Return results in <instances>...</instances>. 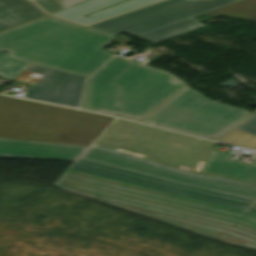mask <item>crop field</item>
<instances>
[{"mask_svg":"<svg viewBox=\"0 0 256 256\" xmlns=\"http://www.w3.org/2000/svg\"><path fill=\"white\" fill-rule=\"evenodd\" d=\"M54 186L212 238L244 212L83 172H64Z\"/></svg>","mask_w":256,"mask_h":256,"instance_id":"8a807250","label":"crop field"},{"mask_svg":"<svg viewBox=\"0 0 256 256\" xmlns=\"http://www.w3.org/2000/svg\"><path fill=\"white\" fill-rule=\"evenodd\" d=\"M115 37L46 16L0 33V51L13 59L88 77L113 54Z\"/></svg>","mask_w":256,"mask_h":256,"instance_id":"ac0d7876","label":"crop field"},{"mask_svg":"<svg viewBox=\"0 0 256 256\" xmlns=\"http://www.w3.org/2000/svg\"><path fill=\"white\" fill-rule=\"evenodd\" d=\"M185 86L168 73L114 57L89 79L81 108L138 121Z\"/></svg>","mask_w":256,"mask_h":256,"instance_id":"34b2d1b8","label":"crop field"},{"mask_svg":"<svg viewBox=\"0 0 256 256\" xmlns=\"http://www.w3.org/2000/svg\"><path fill=\"white\" fill-rule=\"evenodd\" d=\"M113 119L0 95V137L90 145Z\"/></svg>","mask_w":256,"mask_h":256,"instance_id":"412701ff","label":"crop field"},{"mask_svg":"<svg viewBox=\"0 0 256 256\" xmlns=\"http://www.w3.org/2000/svg\"><path fill=\"white\" fill-rule=\"evenodd\" d=\"M92 146L109 147L199 172L216 143L116 119Z\"/></svg>","mask_w":256,"mask_h":256,"instance_id":"f4fd0767","label":"crop field"},{"mask_svg":"<svg viewBox=\"0 0 256 256\" xmlns=\"http://www.w3.org/2000/svg\"><path fill=\"white\" fill-rule=\"evenodd\" d=\"M238 2L237 0H166L128 12L87 28L122 32L152 42L202 27L191 17Z\"/></svg>","mask_w":256,"mask_h":256,"instance_id":"dd49c442","label":"crop field"},{"mask_svg":"<svg viewBox=\"0 0 256 256\" xmlns=\"http://www.w3.org/2000/svg\"><path fill=\"white\" fill-rule=\"evenodd\" d=\"M251 115L208 99L188 87L142 120L215 140Z\"/></svg>","mask_w":256,"mask_h":256,"instance_id":"e52e79f7","label":"crop field"},{"mask_svg":"<svg viewBox=\"0 0 256 256\" xmlns=\"http://www.w3.org/2000/svg\"><path fill=\"white\" fill-rule=\"evenodd\" d=\"M66 171L76 174H79L81 171H83L183 197L194 198L240 210H246L250 208L254 203H256V200L216 190L176 183L160 179L157 177L145 175L142 173L117 168L81 158H78L77 161Z\"/></svg>","mask_w":256,"mask_h":256,"instance_id":"d8731c3e","label":"crop field"},{"mask_svg":"<svg viewBox=\"0 0 256 256\" xmlns=\"http://www.w3.org/2000/svg\"><path fill=\"white\" fill-rule=\"evenodd\" d=\"M81 158L142 172L172 181L216 189L256 199V186L254 185L230 179L188 173L109 149L89 147Z\"/></svg>","mask_w":256,"mask_h":256,"instance_id":"5a996713","label":"crop field"},{"mask_svg":"<svg viewBox=\"0 0 256 256\" xmlns=\"http://www.w3.org/2000/svg\"><path fill=\"white\" fill-rule=\"evenodd\" d=\"M24 70L46 75L25 98L77 108L86 78L29 64Z\"/></svg>","mask_w":256,"mask_h":256,"instance_id":"3316defc","label":"crop field"},{"mask_svg":"<svg viewBox=\"0 0 256 256\" xmlns=\"http://www.w3.org/2000/svg\"><path fill=\"white\" fill-rule=\"evenodd\" d=\"M86 147L0 139V157L74 161Z\"/></svg>","mask_w":256,"mask_h":256,"instance_id":"28ad6ade","label":"crop field"},{"mask_svg":"<svg viewBox=\"0 0 256 256\" xmlns=\"http://www.w3.org/2000/svg\"><path fill=\"white\" fill-rule=\"evenodd\" d=\"M89 0L87 2L64 9L52 15L66 18L84 25L159 1V0ZM124 2V3H121ZM121 3L119 5H116ZM116 5V6H113ZM113 6V7H110ZM110 7V8H107ZM107 8L105 10H102ZM102 10V11H99ZM99 11V12H96ZM96 12V13H93ZM93 13L91 15H88ZM88 15V16H85ZM85 16V17H83Z\"/></svg>","mask_w":256,"mask_h":256,"instance_id":"d1516ede","label":"crop field"},{"mask_svg":"<svg viewBox=\"0 0 256 256\" xmlns=\"http://www.w3.org/2000/svg\"><path fill=\"white\" fill-rule=\"evenodd\" d=\"M232 157V154L213 150L200 172L256 184V159L248 165L231 160Z\"/></svg>","mask_w":256,"mask_h":256,"instance_id":"22f410ed","label":"crop field"},{"mask_svg":"<svg viewBox=\"0 0 256 256\" xmlns=\"http://www.w3.org/2000/svg\"><path fill=\"white\" fill-rule=\"evenodd\" d=\"M216 239L256 249V210H246Z\"/></svg>","mask_w":256,"mask_h":256,"instance_id":"cbeb9de0","label":"crop field"},{"mask_svg":"<svg viewBox=\"0 0 256 256\" xmlns=\"http://www.w3.org/2000/svg\"><path fill=\"white\" fill-rule=\"evenodd\" d=\"M43 15L30 0H0V31Z\"/></svg>","mask_w":256,"mask_h":256,"instance_id":"5142ce71","label":"crop field"},{"mask_svg":"<svg viewBox=\"0 0 256 256\" xmlns=\"http://www.w3.org/2000/svg\"><path fill=\"white\" fill-rule=\"evenodd\" d=\"M206 14L219 15L256 22V0H244Z\"/></svg>","mask_w":256,"mask_h":256,"instance_id":"d9b57169","label":"crop field"},{"mask_svg":"<svg viewBox=\"0 0 256 256\" xmlns=\"http://www.w3.org/2000/svg\"><path fill=\"white\" fill-rule=\"evenodd\" d=\"M221 141L256 149V115L227 134Z\"/></svg>","mask_w":256,"mask_h":256,"instance_id":"733c2abd","label":"crop field"},{"mask_svg":"<svg viewBox=\"0 0 256 256\" xmlns=\"http://www.w3.org/2000/svg\"><path fill=\"white\" fill-rule=\"evenodd\" d=\"M27 63L12 60L7 53L0 52V76L14 79Z\"/></svg>","mask_w":256,"mask_h":256,"instance_id":"4a817a6b","label":"crop field"},{"mask_svg":"<svg viewBox=\"0 0 256 256\" xmlns=\"http://www.w3.org/2000/svg\"><path fill=\"white\" fill-rule=\"evenodd\" d=\"M34 1L37 2L41 7H43L50 14L64 9V7H62L55 0H34Z\"/></svg>","mask_w":256,"mask_h":256,"instance_id":"bc2a9ffb","label":"crop field"},{"mask_svg":"<svg viewBox=\"0 0 256 256\" xmlns=\"http://www.w3.org/2000/svg\"><path fill=\"white\" fill-rule=\"evenodd\" d=\"M56 1L59 2L65 8H67V7H70L72 5L84 2L86 0H56Z\"/></svg>","mask_w":256,"mask_h":256,"instance_id":"214f88e0","label":"crop field"},{"mask_svg":"<svg viewBox=\"0 0 256 256\" xmlns=\"http://www.w3.org/2000/svg\"><path fill=\"white\" fill-rule=\"evenodd\" d=\"M252 208H255L256 209V204L252 206Z\"/></svg>","mask_w":256,"mask_h":256,"instance_id":"92a150f3","label":"crop field"}]
</instances>
